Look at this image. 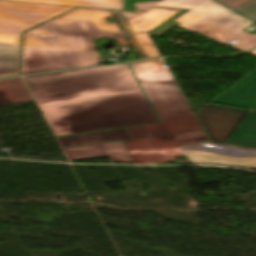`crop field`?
I'll list each match as a JSON object with an SVG mask.
<instances>
[{
    "mask_svg": "<svg viewBox=\"0 0 256 256\" xmlns=\"http://www.w3.org/2000/svg\"><path fill=\"white\" fill-rule=\"evenodd\" d=\"M136 13L121 11L147 58L162 56L150 39L148 32L180 12L177 9L153 7L144 12L137 8Z\"/></svg>",
    "mask_w": 256,
    "mask_h": 256,
    "instance_id": "crop-field-7",
    "label": "crop field"
},
{
    "mask_svg": "<svg viewBox=\"0 0 256 256\" xmlns=\"http://www.w3.org/2000/svg\"><path fill=\"white\" fill-rule=\"evenodd\" d=\"M109 11L77 8L25 33L21 75L101 63L93 40L114 37L128 45Z\"/></svg>",
    "mask_w": 256,
    "mask_h": 256,
    "instance_id": "crop-field-2",
    "label": "crop field"
},
{
    "mask_svg": "<svg viewBox=\"0 0 256 256\" xmlns=\"http://www.w3.org/2000/svg\"><path fill=\"white\" fill-rule=\"evenodd\" d=\"M127 139L125 128L58 138L62 148Z\"/></svg>",
    "mask_w": 256,
    "mask_h": 256,
    "instance_id": "crop-field-11",
    "label": "crop field"
},
{
    "mask_svg": "<svg viewBox=\"0 0 256 256\" xmlns=\"http://www.w3.org/2000/svg\"><path fill=\"white\" fill-rule=\"evenodd\" d=\"M232 8H237L239 6H241L242 4L248 2L249 0H218Z\"/></svg>",
    "mask_w": 256,
    "mask_h": 256,
    "instance_id": "crop-field-22",
    "label": "crop field"
},
{
    "mask_svg": "<svg viewBox=\"0 0 256 256\" xmlns=\"http://www.w3.org/2000/svg\"><path fill=\"white\" fill-rule=\"evenodd\" d=\"M152 62L156 63L159 66L163 64L161 59L152 60Z\"/></svg>",
    "mask_w": 256,
    "mask_h": 256,
    "instance_id": "crop-field-27",
    "label": "crop field"
},
{
    "mask_svg": "<svg viewBox=\"0 0 256 256\" xmlns=\"http://www.w3.org/2000/svg\"><path fill=\"white\" fill-rule=\"evenodd\" d=\"M11 103L9 97L7 96L5 90H0V105Z\"/></svg>",
    "mask_w": 256,
    "mask_h": 256,
    "instance_id": "crop-field-25",
    "label": "crop field"
},
{
    "mask_svg": "<svg viewBox=\"0 0 256 256\" xmlns=\"http://www.w3.org/2000/svg\"><path fill=\"white\" fill-rule=\"evenodd\" d=\"M186 10H182L180 13H178L177 15H175L174 17H172L171 19H169L167 22H165L164 24H162L160 27L152 30L149 35L151 37H154L155 35L160 37L162 34H164L166 31H168L169 29H171L174 26H177L179 24L172 22L173 20H175L176 18H178L179 16L183 15L184 13H186Z\"/></svg>",
    "mask_w": 256,
    "mask_h": 256,
    "instance_id": "crop-field-18",
    "label": "crop field"
},
{
    "mask_svg": "<svg viewBox=\"0 0 256 256\" xmlns=\"http://www.w3.org/2000/svg\"><path fill=\"white\" fill-rule=\"evenodd\" d=\"M112 162H132L128 154L109 156Z\"/></svg>",
    "mask_w": 256,
    "mask_h": 256,
    "instance_id": "crop-field-24",
    "label": "crop field"
},
{
    "mask_svg": "<svg viewBox=\"0 0 256 256\" xmlns=\"http://www.w3.org/2000/svg\"><path fill=\"white\" fill-rule=\"evenodd\" d=\"M0 89H5L12 103L32 100L21 78L0 80Z\"/></svg>",
    "mask_w": 256,
    "mask_h": 256,
    "instance_id": "crop-field-15",
    "label": "crop field"
},
{
    "mask_svg": "<svg viewBox=\"0 0 256 256\" xmlns=\"http://www.w3.org/2000/svg\"><path fill=\"white\" fill-rule=\"evenodd\" d=\"M73 8L0 2V77L19 74L23 31Z\"/></svg>",
    "mask_w": 256,
    "mask_h": 256,
    "instance_id": "crop-field-4",
    "label": "crop field"
},
{
    "mask_svg": "<svg viewBox=\"0 0 256 256\" xmlns=\"http://www.w3.org/2000/svg\"><path fill=\"white\" fill-rule=\"evenodd\" d=\"M251 54L256 55V49L253 52H251Z\"/></svg>",
    "mask_w": 256,
    "mask_h": 256,
    "instance_id": "crop-field-28",
    "label": "crop field"
},
{
    "mask_svg": "<svg viewBox=\"0 0 256 256\" xmlns=\"http://www.w3.org/2000/svg\"><path fill=\"white\" fill-rule=\"evenodd\" d=\"M24 79L56 136L159 122L127 64Z\"/></svg>",
    "mask_w": 256,
    "mask_h": 256,
    "instance_id": "crop-field-1",
    "label": "crop field"
},
{
    "mask_svg": "<svg viewBox=\"0 0 256 256\" xmlns=\"http://www.w3.org/2000/svg\"><path fill=\"white\" fill-rule=\"evenodd\" d=\"M149 1H159V0H126L125 11L136 12L132 6V3L149 2Z\"/></svg>",
    "mask_w": 256,
    "mask_h": 256,
    "instance_id": "crop-field-23",
    "label": "crop field"
},
{
    "mask_svg": "<svg viewBox=\"0 0 256 256\" xmlns=\"http://www.w3.org/2000/svg\"><path fill=\"white\" fill-rule=\"evenodd\" d=\"M226 144L256 149V113H248Z\"/></svg>",
    "mask_w": 256,
    "mask_h": 256,
    "instance_id": "crop-field-12",
    "label": "crop field"
},
{
    "mask_svg": "<svg viewBox=\"0 0 256 256\" xmlns=\"http://www.w3.org/2000/svg\"><path fill=\"white\" fill-rule=\"evenodd\" d=\"M213 144V143H212ZM220 145V144H219ZM227 146V145H226ZM233 147V146H232ZM239 148V147H238ZM245 149V148H244ZM251 150V149H250Z\"/></svg>",
    "mask_w": 256,
    "mask_h": 256,
    "instance_id": "crop-field-29",
    "label": "crop field"
},
{
    "mask_svg": "<svg viewBox=\"0 0 256 256\" xmlns=\"http://www.w3.org/2000/svg\"><path fill=\"white\" fill-rule=\"evenodd\" d=\"M114 14L115 18L120 21V27L124 34L126 35L127 39L129 40L130 44L132 45L137 57L144 56L137 40L135 39L132 31L130 30L129 26L126 24L124 18L122 17L120 12L112 11Z\"/></svg>",
    "mask_w": 256,
    "mask_h": 256,
    "instance_id": "crop-field-17",
    "label": "crop field"
},
{
    "mask_svg": "<svg viewBox=\"0 0 256 256\" xmlns=\"http://www.w3.org/2000/svg\"><path fill=\"white\" fill-rule=\"evenodd\" d=\"M162 123L127 128L132 139L200 131L202 130L193 111H187L161 119Z\"/></svg>",
    "mask_w": 256,
    "mask_h": 256,
    "instance_id": "crop-field-9",
    "label": "crop field"
},
{
    "mask_svg": "<svg viewBox=\"0 0 256 256\" xmlns=\"http://www.w3.org/2000/svg\"><path fill=\"white\" fill-rule=\"evenodd\" d=\"M14 2L82 6L112 10H123L124 0H5Z\"/></svg>",
    "mask_w": 256,
    "mask_h": 256,
    "instance_id": "crop-field-13",
    "label": "crop field"
},
{
    "mask_svg": "<svg viewBox=\"0 0 256 256\" xmlns=\"http://www.w3.org/2000/svg\"><path fill=\"white\" fill-rule=\"evenodd\" d=\"M149 70H151L152 72H155V71H158L159 69H158V66H156V67H152V68L149 69ZM163 70H165V69H163ZM167 70L170 71L169 69H167ZM141 72H144V71L136 72L135 74H139V73H141Z\"/></svg>",
    "mask_w": 256,
    "mask_h": 256,
    "instance_id": "crop-field-26",
    "label": "crop field"
},
{
    "mask_svg": "<svg viewBox=\"0 0 256 256\" xmlns=\"http://www.w3.org/2000/svg\"><path fill=\"white\" fill-rule=\"evenodd\" d=\"M211 103L256 110V70L219 95Z\"/></svg>",
    "mask_w": 256,
    "mask_h": 256,
    "instance_id": "crop-field-10",
    "label": "crop field"
},
{
    "mask_svg": "<svg viewBox=\"0 0 256 256\" xmlns=\"http://www.w3.org/2000/svg\"><path fill=\"white\" fill-rule=\"evenodd\" d=\"M102 147L104 148L107 155L126 153L124 147L122 146V144L120 142L103 144Z\"/></svg>",
    "mask_w": 256,
    "mask_h": 256,
    "instance_id": "crop-field-20",
    "label": "crop field"
},
{
    "mask_svg": "<svg viewBox=\"0 0 256 256\" xmlns=\"http://www.w3.org/2000/svg\"><path fill=\"white\" fill-rule=\"evenodd\" d=\"M133 6L144 11L153 6L190 10L175 20L180 23L178 27L244 51L256 46V34L242 31L252 22L214 0H164ZM233 40L238 42L233 45L230 43Z\"/></svg>",
    "mask_w": 256,
    "mask_h": 256,
    "instance_id": "crop-field-3",
    "label": "crop field"
},
{
    "mask_svg": "<svg viewBox=\"0 0 256 256\" xmlns=\"http://www.w3.org/2000/svg\"><path fill=\"white\" fill-rule=\"evenodd\" d=\"M235 10L256 21V0H251Z\"/></svg>",
    "mask_w": 256,
    "mask_h": 256,
    "instance_id": "crop-field-19",
    "label": "crop field"
},
{
    "mask_svg": "<svg viewBox=\"0 0 256 256\" xmlns=\"http://www.w3.org/2000/svg\"><path fill=\"white\" fill-rule=\"evenodd\" d=\"M64 151L70 160H78L106 155L101 145L67 148L64 149Z\"/></svg>",
    "mask_w": 256,
    "mask_h": 256,
    "instance_id": "crop-field-16",
    "label": "crop field"
},
{
    "mask_svg": "<svg viewBox=\"0 0 256 256\" xmlns=\"http://www.w3.org/2000/svg\"><path fill=\"white\" fill-rule=\"evenodd\" d=\"M136 76L159 119L192 110L172 73L147 71Z\"/></svg>",
    "mask_w": 256,
    "mask_h": 256,
    "instance_id": "crop-field-6",
    "label": "crop field"
},
{
    "mask_svg": "<svg viewBox=\"0 0 256 256\" xmlns=\"http://www.w3.org/2000/svg\"><path fill=\"white\" fill-rule=\"evenodd\" d=\"M247 112L208 104L196 114L211 142L224 143Z\"/></svg>",
    "mask_w": 256,
    "mask_h": 256,
    "instance_id": "crop-field-8",
    "label": "crop field"
},
{
    "mask_svg": "<svg viewBox=\"0 0 256 256\" xmlns=\"http://www.w3.org/2000/svg\"><path fill=\"white\" fill-rule=\"evenodd\" d=\"M132 67L133 71H140V70H146L150 68L151 66H155L149 61H142V62H136V63H129Z\"/></svg>",
    "mask_w": 256,
    "mask_h": 256,
    "instance_id": "crop-field-21",
    "label": "crop field"
},
{
    "mask_svg": "<svg viewBox=\"0 0 256 256\" xmlns=\"http://www.w3.org/2000/svg\"><path fill=\"white\" fill-rule=\"evenodd\" d=\"M190 160L203 162H223L241 166H256V158H230L217 154L186 151Z\"/></svg>",
    "mask_w": 256,
    "mask_h": 256,
    "instance_id": "crop-field-14",
    "label": "crop field"
},
{
    "mask_svg": "<svg viewBox=\"0 0 256 256\" xmlns=\"http://www.w3.org/2000/svg\"><path fill=\"white\" fill-rule=\"evenodd\" d=\"M209 142L204 131L122 142L134 164L171 161L183 156L179 146Z\"/></svg>",
    "mask_w": 256,
    "mask_h": 256,
    "instance_id": "crop-field-5",
    "label": "crop field"
}]
</instances>
